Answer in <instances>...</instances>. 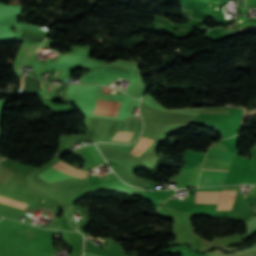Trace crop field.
Wrapping results in <instances>:
<instances>
[{
	"instance_id": "7",
	"label": "crop field",
	"mask_w": 256,
	"mask_h": 256,
	"mask_svg": "<svg viewBox=\"0 0 256 256\" xmlns=\"http://www.w3.org/2000/svg\"><path fill=\"white\" fill-rule=\"evenodd\" d=\"M112 167H114V166H112ZM117 167H118V169L122 172V174L124 175V177H126L127 179H129V180L132 181V182H135V183H138V184H140V185L145 186L143 180L140 179V178L135 177V176L133 175L132 171L126 169L127 167H126V168H125L124 166H117Z\"/></svg>"
},
{
	"instance_id": "1",
	"label": "crop field",
	"mask_w": 256,
	"mask_h": 256,
	"mask_svg": "<svg viewBox=\"0 0 256 256\" xmlns=\"http://www.w3.org/2000/svg\"><path fill=\"white\" fill-rule=\"evenodd\" d=\"M54 166H57L65 171H68V172L76 174V175H83V176L87 175V171L72 168L61 161L54 164ZM54 166L49 167L47 170H45L38 176L41 177L47 183L65 179V178H85L82 176H76V175L70 174V173L65 172L57 167H54Z\"/></svg>"
},
{
	"instance_id": "6",
	"label": "crop field",
	"mask_w": 256,
	"mask_h": 256,
	"mask_svg": "<svg viewBox=\"0 0 256 256\" xmlns=\"http://www.w3.org/2000/svg\"><path fill=\"white\" fill-rule=\"evenodd\" d=\"M104 102L105 101L94 100L90 113L91 114H99V115H101L102 114V110H103V106H104ZM113 103L114 102H108V101L105 102V106H104V110H103V114L102 115H108V116L110 115ZM115 103H114V106H115ZM114 106H113V109H114ZM113 109H112V112H113ZM112 112H111V115H112Z\"/></svg>"
},
{
	"instance_id": "9",
	"label": "crop field",
	"mask_w": 256,
	"mask_h": 256,
	"mask_svg": "<svg viewBox=\"0 0 256 256\" xmlns=\"http://www.w3.org/2000/svg\"><path fill=\"white\" fill-rule=\"evenodd\" d=\"M0 202L6 203V204H9V205H13V206H16V207H19V208H23V209H25L26 206H27V204L17 202V201H14V200H11V199H8V198H5V197H1V196H0Z\"/></svg>"
},
{
	"instance_id": "10",
	"label": "crop field",
	"mask_w": 256,
	"mask_h": 256,
	"mask_svg": "<svg viewBox=\"0 0 256 256\" xmlns=\"http://www.w3.org/2000/svg\"><path fill=\"white\" fill-rule=\"evenodd\" d=\"M52 44H54V41L47 39L44 40L40 48H49ZM38 51H43V49H39Z\"/></svg>"
},
{
	"instance_id": "3",
	"label": "crop field",
	"mask_w": 256,
	"mask_h": 256,
	"mask_svg": "<svg viewBox=\"0 0 256 256\" xmlns=\"http://www.w3.org/2000/svg\"><path fill=\"white\" fill-rule=\"evenodd\" d=\"M238 186L224 187L217 211L230 210Z\"/></svg>"
},
{
	"instance_id": "12",
	"label": "crop field",
	"mask_w": 256,
	"mask_h": 256,
	"mask_svg": "<svg viewBox=\"0 0 256 256\" xmlns=\"http://www.w3.org/2000/svg\"><path fill=\"white\" fill-rule=\"evenodd\" d=\"M22 85H23V77H21V88H22Z\"/></svg>"
},
{
	"instance_id": "4",
	"label": "crop field",
	"mask_w": 256,
	"mask_h": 256,
	"mask_svg": "<svg viewBox=\"0 0 256 256\" xmlns=\"http://www.w3.org/2000/svg\"><path fill=\"white\" fill-rule=\"evenodd\" d=\"M40 43H22L16 56L14 62V68L20 70V65L22 60L30 53L35 52Z\"/></svg>"
},
{
	"instance_id": "11",
	"label": "crop field",
	"mask_w": 256,
	"mask_h": 256,
	"mask_svg": "<svg viewBox=\"0 0 256 256\" xmlns=\"http://www.w3.org/2000/svg\"><path fill=\"white\" fill-rule=\"evenodd\" d=\"M153 141V140H152ZM151 141V142H152ZM151 142L145 147V149L138 155L139 157L141 156V154L146 150V148L151 144Z\"/></svg>"
},
{
	"instance_id": "5",
	"label": "crop field",
	"mask_w": 256,
	"mask_h": 256,
	"mask_svg": "<svg viewBox=\"0 0 256 256\" xmlns=\"http://www.w3.org/2000/svg\"><path fill=\"white\" fill-rule=\"evenodd\" d=\"M234 154L233 152L210 148L206 159L231 163Z\"/></svg>"
},
{
	"instance_id": "8",
	"label": "crop field",
	"mask_w": 256,
	"mask_h": 256,
	"mask_svg": "<svg viewBox=\"0 0 256 256\" xmlns=\"http://www.w3.org/2000/svg\"><path fill=\"white\" fill-rule=\"evenodd\" d=\"M133 132H117L113 136V140L128 142Z\"/></svg>"
},
{
	"instance_id": "2",
	"label": "crop field",
	"mask_w": 256,
	"mask_h": 256,
	"mask_svg": "<svg viewBox=\"0 0 256 256\" xmlns=\"http://www.w3.org/2000/svg\"><path fill=\"white\" fill-rule=\"evenodd\" d=\"M228 172L202 170L198 186L223 185Z\"/></svg>"
}]
</instances>
